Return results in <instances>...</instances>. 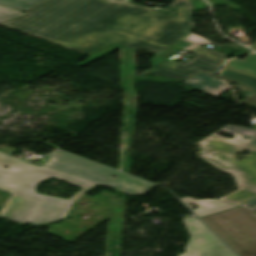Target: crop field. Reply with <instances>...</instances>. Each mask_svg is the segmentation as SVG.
Here are the masks:
<instances>
[{"instance_id": "crop-field-16", "label": "crop field", "mask_w": 256, "mask_h": 256, "mask_svg": "<svg viewBox=\"0 0 256 256\" xmlns=\"http://www.w3.org/2000/svg\"><path fill=\"white\" fill-rule=\"evenodd\" d=\"M190 44H191V43H188V42H185V41L180 40V41H178L177 43H175V44L172 45V46H175V47H178V48L183 49L184 47H186V46H188V45H190Z\"/></svg>"}, {"instance_id": "crop-field-5", "label": "crop field", "mask_w": 256, "mask_h": 256, "mask_svg": "<svg viewBox=\"0 0 256 256\" xmlns=\"http://www.w3.org/2000/svg\"><path fill=\"white\" fill-rule=\"evenodd\" d=\"M189 52L197 55L185 64L166 60L150 68L147 70V72L166 75L183 80H187L200 72H204L216 78L228 57L227 55L213 52L200 46L191 49Z\"/></svg>"}, {"instance_id": "crop-field-8", "label": "crop field", "mask_w": 256, "mask_h": 256, "mask_svg": "<svg viewBox=\"0 0 256 256\" xmlns=\"http://www.w3.org/2000/svg\"><path fill=\"white\" fill-rule=\"evenodd\" d=\"M194 213L199 217L221 212L233 207H236L233 204L218 201V200H195L191 197H186L181 199ZM195 204L200 208L194 210L189 204Z\"/></svg>"}, {"instance_id": "crop-field-7", "label": "crop field", "mask_w": 256, "mask_h": 256, "mask_svg": "<svg viewBox=\"0 0 256 256\" xmlns=\"http://www.w3.org/2000/svg\"><path fill=\"white\" fill-rule=\"evenodd\" d=\"M184 84L204 91L206 93L212 94L214 96L229 89L228 86L222 81L214 79L204 73H200L195 77L185 81Z\"/></svg>"}, {"instance_id": "crop-field-13", "label": "crop field", "mask_w": 256, "mask_h": 256, "mask_svg": "<svg viewBox=\"0 0 256 256\" xmlns=\"http://www.w3.org/2000/svg\"><path fill=\"white\" fill-rule=\"evenodd\" d=\"M179 50L180 49L169 47L166 50H164L163 52H161L158 55L154 56L151 60L156 65L157 63L165 60L166 58L170 57L171 55H173L174 53L178 52Z\"/></svg>"}, {"instance_id": "crop-field-9", "label": "crop field", "mask_w": 256, "mask_h": 256, "mask_svg": "<svg viewBox=\"0 0 256 256\" xmlns=\"http://www.w3.org/2000/svg\"><path fill=\"white\" fill-rule=\"evenodd\" d=\"M225 67L256 77V54L249 55L243 61L237 59L231 60Z\"/></svg>"}, {"instance_id": "crop-field-1", "label": "crop field", "mask_w": 256, "mask_h": 256, "mask_svg": "<svg viewBox=\"0 0 256 256\" xmlns=\"http://www.w3.org/2000/svg\"><path fill=\"white\" fill-rule=\"evenodd\" d=\"M23 12L0 24L87 54L114 42L156 55L194 30L191 0L160 11L118 0H43Z\"/></svg>"}, {"instance_id": "crop-field-10", "label": "crop field", "mask_w": 256, "mask_h": 256, "mask_svg": "<svg viewBox=\"0 0 256 256\" xmlns=\"http://www.w3.org/2000/svg\"><path fill=\"white\" fill-rule=\"evenodd\" d=\"M40 1L41 0H0V4L22 11Z\"/></svg>"}, {"instance_id": "crop-field-15", "label": "crop field", "mask_w": 256, "mask_h": 256, "mask_svg": "<svg viewBox=\"0 0 256 256\" xmlns=\"http://www.w3.org/2000/svg\"><path fill=\"white\" fill-rule=\"evenodd\" d=\"M241 206L256 211V199H254L252 201H249V202H247V203H245V204H243Z\"/></svg>"}, {"instance_id": "crop-field-12", "label": "crop field", "mask_w": 256, "mask_h": 256, "mask_svg": "<svg viewBox=\"0 0 256 256\" xmlns=\"http://www.w3.org/2000/svg\"><path fill=\"white\" fill-rule=\"evenodd\" d=\"M25 14L26 13H23V12H20V11L14 10V9H10V8L0 5V22L6 21V20H9L12 18H16L19 16H23Z\"/></svg>"}, {"instance_id": "crop-field-3", "label": "crop field", "mask_w": 256, "mask_h": 256, "mask_svg": "<svg viewBox=\"0 0 256 256\" xmlns=\"http://www.w3.org/2000/svg\"><path fill=\"white\" fill-rule=\"evenodd\" d=\"M220 76L227 83L234 81L244 90L255 92L240 103L256 108V78L226 68ZM220 131L231 134L235 138L229 139L215 133L211 134L196 143L198 157L219 172L235 178L239 190L218 200L239 206L256 197V130L228 125ZM241 149L252 153L239 162L234 157Z\"/></svg>"}, {"instance_id": "crop-field-14", "label": "crop field", "mask_w": 256, "mask_h": 256, "mask_svg": "<svg viewBox=\"0 0 256 256\" xmlns=\"http://www.w3.org/2000/svg\"><path fill=\"white\" fill-rule=\"evenodd\" d=\"M182 40H185V41H188V42H191L193 43L192 45L184 48V50H187L195 45H198V44H205V43H209L206 39L200 37V36H197L193 33L189 34L188 36L184 37Z\"/></svg>"}, {"instance_id": "crop-field-11", "label": "crop field", "mask_w": 256, "mask_h": 256, "mask_svg": "<svg viewBox=\"0 0 256 256\" xmlns=\"http://www.w3.org/2000/svg\"><path fill=\"white\" fill-rule=\"evenodd\" d=\"M120 47L121 46H118L116 44L111 43V44H109V45H107V46H105V47H103V48H101V49L91 53L88 56V57H91L90 59H88V60H86V61H84V62H82V63H80L78 65L84 66V65H86V64H88V63H90V62H92V61H94V60H96V59H98V58H100V57H102V56H104V55H106V54H108V53L118 49V48H120Z\"/></svg>"}, {"instance_id": "crop-field-17", "label": "crop field", "mask_w": 256, "mask_h": 256, "mask_svg": "<svg viewBox=\"0 0 256 256\" xmlns=\"http://www.w3.org/2000/svg\"><path fill=\"white\" fill-rule=\"evenodd\" d=\"M250 48H253V49H255V50H256V43H255V44H253V45H251V46H250Z\"/></svg>"}, {"instance_id": "crop-field-6", "label": "crop field", "mask_w": 256, "mask_h": 256, "mask_svg": "<svg viewBox=\"0 0 256 256\" xmlns=\"http://www.w3.org/2000/svg\"><path fill=\"white\" fill-rule=\"evenodd\" d=\"M191 237L185 253L179 256H236L196 217L183 219Z\"/></svg>"}, {"instance_id": "crop-field-2", "label": "crop field", "mask_w": 256, "mask_h": 256, "mask_svg": "<svg viewBox=\"0 0 256 256\" xmlns=\"http://www.w3.org/2000/svg\"><path fill=\"white\" fill-rule=\"evenodd\" d=\"M46 159L49 160L38 166L0 152V190L12 194L1 209L0 217L22 225L27 222L43 225L66 217L75 201L98 184L116 188L129 195L144 194L155 187L60 151ZM5 166L9 168H4ZM113 175L117 178H112ZM50 177L82 189L68 200L35 194L36 185Z\"/></svg>"}, {"instance_id": "crop-field-4", "label": "crop field", "mask_w": 256, "mask_h": 256, "mask_svg": "<svg viewBox=\"0 0 256 256\" xmlns=\"http://www.w3.org/2000/svg\"><path fill=\"white\" fill-rule=\"evenodd\" d=\"M256 213L237 208L202 218L240 256H256Z\"/></svg>"}]
</instances>
